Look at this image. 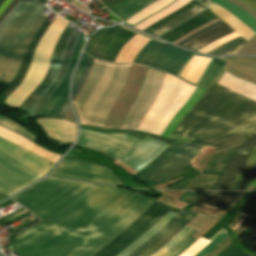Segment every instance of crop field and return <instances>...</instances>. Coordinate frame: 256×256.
Wrapping results in <instances>:
<instances>
[{
    "instance_id": "1",
    "label": "crop field",
    "mask_w": 256,
    "mask_h": 256,
    "mask_svg": "<svg viewBox=\"0 0 256 256\" xmlns=\"http://www.w3.org/2000/svg\"><path fill=\"white\" fill-rule=\"evenodd\" d=\"M12 199L43 221L10 240L18 256H93L154 202L118 188L50 178Z\"/></svg>"
},
{
    "instance_id": "37",
    "label": "crop field",
    "mask_w": 256,
    "mask_h": 256,
    "mask_svg": "<svg viewBox=\"0 0 256 256\" xmlns=\"http://www.w3.org/2000/svg\"><path fill=\"white\" fill-rule=\"evenodd\" d=\"M228 237L226 231L224 230L216 239H214L208 246H206L202 251L197 253L195 256H206L214 248H216L221 242H223Z\"/></svg>"
},
{
    "instance_id": "28",
    "label": "crop field",
    "mask_w": 256,
    "mask_h": 256,
    "mask_svg": "<svg viewBox=\"0 0 256 256\" xmlns=\"http://www.w3.org/2000/svg\"><path fill=\"white\" fill-rule=\"evenodd\" d=\"M226 64V61L221 58H215L211 65L209 66L208 70L202 77L201 81L198 84V87L207 88L211 81L215 78L218 74L220 69Z\"/></svg>"
},
{
    "instance_id": "5",
    "label": "crop field",
    "mask_w": 256,
    "mask_h": 256,
    "mask_svg": "<svg viewBox=\"0 0 256 256\" xmlns=\"http://www.w3.org/2000/svg\"><path fill=\"white\" fill-rule=\"evenodd\" d=\"M43 5L25 0L6 18L0 28V80L11 82L25 50L45 17Z\"/></svg>"
},
{
    "instance_id": "21",
    "label": "crop field",
    "mask_w": 256,
    "mask_h": 256,
    "mask_svg": "<svg viewBox=\"0 0 256 256\" xmlns=\"http://www.w3.org/2000/svg\"><path fill=\"white\" fill-rule=\"evenodd\" d=\"M125 32L126 30L119 26L107 30L98 39L90 55L105 60L109 49Z\"/></svg>"
},
{
    "instance_id": "17",
    "label": "crop field",
    "mask_w": 256,
    "mask_h": 256,
    "mask_svg": "<svg viewBox=\"0 0 256 256\" xmlns=\"http://www.w3.org/2000/svg\"><path fill=\"white\" fill-rule=\"evenodd\" d=\"M217 19L209 9L201 12L200 14L194 16L193 18L187 20L166 34L162 35L160 38L168 40L170 42H175L177 39L181 38L185 34Z\"/></svg>"
},
{
    "instance_id": "16",
    "label": "crop field",
    "mask_w": 256,
    "mask_h": 256,
    "mask_svg": "<svg viewBox=\"0 0 256 256\" xmlns=\"http://www.w3.org/2000/svg\"><path fill=\"white\" fill-rule=\"evenodd\" d=\"M79 35L80 34H78L76 31L73 30V32L68 40L65 52L61 59L60 66H59L58 72H57L54 80L51 82V84L48 86V88L43 92V94L38 98V100L32 106V108L30 109L28 114L36 115V113L38 112L39 108L44 103V101L49 97V95L56 89V87L61 82V80L66 72L67 66L69 64V61H70V58H71V55H72V52L74 49V46L76 44V41H77Z\"/></svg>"
},
{
    "instance_id": "30",
    "label": "crop field",
    "mask_w": 256,
    "mask_h": 256,
    "mask_svg": "<svg viewBox=\"0 0 256 256\" xmlns=\"http://www.w3.org/2000/svg\"><path fill=\"white\" fill-rule=\"evenodd\" d=\"M198 2L192 0L191 2H189L187 5H185L184 7L178 9L177 11L173 12L172 14L168 15L167 17L163 18L162 20L156 22L155 24L151 25L150 27H148L147 29H145L144 31H147L149 33L153 32L154 30L158 29L159 27H161L162 25L166 24L167 22H169L170 20L186 13L187 11H189L190 9L194 8L195 6H197Z\"/></svg>"
},
{
    "instance_id": "2",
    "label": "crop field",
    "mask_w": 256,
    "mask_h": 256,
    "mask_svg": "<svg viewBox=\"0 0 256 256\" xmlns=\"http://www.w3.org/2000/svg\"><path fill=\"white\" fill-rule=\"evenodd\" d=\"M224 72L222 68L214 81L218 82ZM214 81L175 129L194 138L193 141L192 138L175 131L170 138L188 143L192 141V144L226 148L244 136L237 134H247L251 137L256 133V102Z\"/></svg>"
},
{
    "instance_id": "31",
    "label": "crop field",
    "mask_w": 256,
    "mask_h": 256,
    "mask_svg": "<svg viewBox=\"0 0 256 256\" xmlns=\"http://www.w3.org/2000/svg\"><path fill=\"white\" fill-rule=\"evenodd\" d=\"M205 8H207V6L201 4L198 7L194 8L193 10L189 11L188 13L170 21L166 25H164L161 28H159L158 30L154 31L152 34L158 36V35L162 34L163 32H165L166 30L170 29L171 27L179 24L180 22H182V21L186 20L187 18L195 15L196 13L202 11Z\"/></svg>"
},
{
    "instance_id": "54",
    "label": "crop field",
    "mask_w": 256,
    "mask_h": 256,
    "mask_svg": "<svg viewBox=\"0 0 256 256\" xmlns=\"http://www.w3.org/2000/svg\"><path fill=\"white\" fill-rule=\"evenodd\" d=\"M3 0H0V4L2 3Z\"/></svg>"
},
{
    "instance_id": "12",
    "label": "crop field",
    "mask_w": 256,
    "mask_h": 256,
    "mask_svg": "<svg viewBox=\"0 0 256 256\" xmlns=\"http://www.w3.org/2000/svg\"><path fill=\"white\" fill-rule=\"evenodd\" d=\"M164 74L148 70L143 86L120 129L136 130L138 124L153 103L163 80Z\"/></svg>"
},
{
    "instance_id": "50",
    "label": "crop field",
    "mask_w": 256,
    "mask_h": 256,
    "mask_svg": "<svg viewBox=\"0 0 256 256\" xmlns=\"http://www.w3.org/2000/svg\"><path fill=\"white\" fill-rule=\"evenodd\" d=\"M239 39H241V37H239V38H237V39H235V40H232V41H230V42H228V43H225V44H223V45H221V46H219V47H217V48L211 50L210 52H208V54H211L212 52H214V51H216V50H218V49H220V48H222V47H224V46H226V45H228V44H230V43H232V42H234V41H236V40H239Z\"/></svg>"
},
{
    "instance_id": "23",
    "label": "crop field",
    "mask_w": 256,
    "mask_h": 256,
    "mask_svg": "<svg viewBox=\"0 0 256 256\" xmlns=\"http://www.w3.org/2000/svg\"><path fill=\"white\" fill-rule=\"evenodd\" d=\"M175 213L169 211L157 224H155L148 232L134 241L130 246H128L124 251H122L117 256H127L133 250L142 245L146 240H148L151 236H153L159 229H161L173 216Z\"/></svg>"
},
{
    "instance_id": "40",
    "label": "crop field",
    "mask_w": 256,
    "mask_h": 256,
    "mask_svg": "<svg viewBox=\"0 0 256 256\" xmlns=\"http://www.w3.org/2000/svg\"><path fill=\"white\" fill-rule=\"evenodd\" d=\"M205 192H186L179 201L194 205Z\"/></svg>"
},
{
    "instance_id": "19",
    "label": "crop field",
    "mask_w": 256,
    "mask_h": 256,
    "mask_svg": "<svg viewBox=\"0 0 256 256\" xmlns=\"http://www.w3.org/2000/svg\"><path fill=\"white\" fill-rule=\"evenodd\" d=\"M50 25V22L44 20V22L42 23L41 27L39 28V30L37 31V33L35 34V36L33 37L32 41L30 42L27 51L24 55V58L22 60V63L20 65V68L15 76V78L13 79L12 83L7 87V89L2 93L5 97L16 87L18 86L23 77L25 76L28 67H29V63L31 61L32 58V54L33 51L35 49V47L37 46L41 36L43 35V33L46 31V29L48 28V26Z\"/></svg>"
},
{
    "instance_id": "18",
    "label": "crop field",
    "mask_w": 256,
    "mask_h": 256,
    "mask_svg": "<svg viewBox=\"0 0 256 256\" xmlns=\"http://www.w3.org/2000/svg\"><path fill=\"white\" fill-rule=\"evenodd\" d=\"M245 192H206L195 204L205 207L206 205L216 206V209L230 210ZM207 206L210 208H215Z\"/></svg>"
},
{
    "instance_id": "34",
    "label": "crop field",
    "mask_w": 256,
    "mask_h": 256,
    "mask_svg": "<svg viewBox=\"0 0 256 256\" xmlns=\"http://www.w3.org/2000/svg\"><path fill=\"white\" fill-rule=\"evenodd\" d=\"M134 35L135 33L127 31L111 48L106 60L113 62L120 48Z\"/></svg>"
},
{
    "instance_id": "51",
    "label": "crop field",
    "mask_w": 256,
    "mask_h": 256,
    "mask_svg": "<svg viewBox=\"0 0 256 256\" xmlns=\"http://www.w3.org/2000/svg\"><path fill=\"white\" fill-rule=\"evenodd\" d=\"M68 106H69V103H67V105L65 106V108H64V110H63V112H62V114H61V116H60L61 118H63V116H64V114H65V112H66Z\"/></svg>"
},
{
    "instance_id": "25",
    "label": "crop field",
    "mask_w": 256,
    "mask_h": 256,
    "mask_svg": "<svg viewBox=\"0 0 256 256\" xmlns=\"http://www.w3.org/2000/svg\"><path fill=\"white\" fill-rule=\"evenodd\" d=\"M195 215L188 213L179 223H177L169 232H167L158 242L152 247L142 253L140 256H151L156 250L170 240L176 233H178Z\"/></svg>"
},
{
    "instance_id": "27",
    "label": "crop field",
    "mask_w": 256,
    "mask_h": 256,
    "mask_svg": "<svg viewBox=\"0 0 256 256\" xmlns=\"http://www.w3.org/2000/svg\"><path fill=\"white\" fill-rule=\"evenodd\" d=\"M149 1L150 0H123L108 9L118 15L121 19H124Z\"/></svg>"
},
{
    "instance_id": "53",
    "label": "crop field",
    "mask_w": 256,
    "mask_h": 256,
    "mask_svg": "<svg viewBox=\"0 0 256 256\" xmlns=\"http://www.w3.org/2000/svg\"><path fill=\"white\" fill-rule=\"evenodd\" d=\"M238 256H246V255H244V254L240 253Z\"/></svg>"
},
{
    "instance_id": "32",
    "label": "crop field",
    "mask_w": 256,
    "mask_h": 256,
    "mask_svg": "<svg viewBox=\"0 0 256 256\" xmlns=\"http://www.w3.org/2000/svg\"><path fill=\"white\" fill-rule=\"evenodd\" d=\"M255 202L256 192H247L230 211L246 213Z\"/></svg>"
},
{
    "instance_id": "55",
    "label": "crop field",
    "mask_w": 256,
    "mask_h": 256,
    "mask_svg": "<svg viewBox=\"0 0 256 256\" xmlns=\"http://www.w3.org/2000/svg\"><path fill=\"white\" fill-rule=\"evenodd\" d=\"M105 1V0H102V2Z\"/></svg>"
},
{
    "instance_id": "46",
    "label": "crop field",
    "mask_w": 256,
    "mask_h": 256,
    "mask_svg": "<svg viewBox=\"0 0 256 256\" xmlns=\"http://www.w3.org/2000/svg\"><path fill=\"white\" fill-rule=\"evenodd\" d=\"M256 12V0H237Z\"/></svg>"
},
{
    "instance_id": "52",
    "label": "crop field",
    "mask_w": 256,
    "mask_h": 256,
    "mask_svg": "<svg viewBox=\"0 0 256 256\" xmlns=\"http://www.w3.org/2000/svg\"><path fill=\"white\" fill-rule=\"evenodd\" d=\"M197 1L202 2V3L206 4V5H208L207 4V0H197Z\"/></svg>"
},
{
    "instance_id": "7",
    "label": "crop field",
    "mask_w": 256,
    "mask_h": 256,
    "mask_svg": "<svg viewBox=\"0 0 256 256\" xmlns=\"http://www.w3.org/2000/svg\"><path fill=\"white\" fill-rule=\"evenodd\" d=\"M202 148L173 141L153 162L136 174L137 178L151 183H160L181 169Z\"/></svg>"
},
{
    "instance_id": "36",
    "label": "crop field",
    "mask_w": 256,
    "mask_h": 256,
    "mask_svg": "<svg viewBox=\"0 0 256 256\" xmlns=\"http://www.w3.org/2000/svg\"><path fill=\"white\" fill-rule=\"evenodd\" d=\"M0 123L9 127V128H11V129H13V130H15V131H17V132H19V133H21V134H23V135H25L26 137L30 138L33 141L36 138V137L32 136L29 132H27L21 125L13 122V121H11V120H9V119L1 116V115H0Z\"/></svg>"
},
{
    "instance_id": "8",
    "label": "crop field",
    "mask_w": 256,
    "mask_h": 256,
    "mask_svg": "<svg viewBox=\"0 0 256 256\" xmlns=\"http://www.w3.org/2000/svg\"><path fill=\"white\" fill-rule=\"evenodd\" d=\"M172 207L155 201L124 232L94 256H116L160 220Z\"/></svg>"
},
{
    "instance_id": "38",
    "label": "crop field",
    "mask_w": 256,
    "mask_h": 256,
    "mask_svg": "<svg viewBox=\"0 0 256 256\" xmlns=\"http://www.w3.org/2000/svg\"><path fill=\"white\" fill-rule=\"evenodd\" d=\"M246 41L243 39L236 41L216 52L213 54H220V55H228V54H234Z\"/></svg>"
},
{
    "instance_id": "11",
    "label": "crop field",
    "mask_w": 256,
    "mask_h": 256,
    "mask_svg": "<svg viewBox=\"0 0 256 256\" xmlns=\"http://www.w3.org/2000/svg\"><path fill=\"white\" fill-rule=\"evenodd\" d=\"M49 176L116 185L123 184L103 166L72 159H64Z\"/></svg>"
},
{
    "instance_id": "26",
    "label": "crop field",
    "mask_w": 256,
    "mask_h": 256,
    "mask_svg": "<svg viewBox=\"0 0 256 256\" xmlns=\"http://www.w3.org/2000/svg\"><path fill=\"white\" fill-rule=\"evenodd\" d=\"M187 212L181 210L177 213L161 230H159L153 237L145 242L138 249L133 251L129 256H139L142 252L152 246L163 234H165L170 228H172Z\"/></svg>"
},
{
    "instance_id": "49",
    "label": "crop field",
    "mask_w": 256,
    "mask_h": 256,
    "mask_svg": "<svg viewBox=\"0 0 256 256\" xmlns=\"http://www.w3.org/2000/svg\"><path fill=\"white\" fill-rule=\"evenodd\" d=\"M37 222H39V219H37V220H35V221H33V222H31V223L25 225V226H23V227H21V228L15 230V231H13V232L16 234V233H18V232H20V231H22V230H24V229L30 227L31 225H33V224H35V223H37Z\"/></svg>"
},
{
    "instance_id": "33",
    "label": "crop field",
    "mask_w": 256,
    "mask_h": 256,
    "mask_svg": "<svg viewBox=\"0 0 256 256\" xmlns=\"http://www.w3.org/2000/svg\"><path fill=\"white\" fill-rule=\"evenodd\" d=\"M191 230L192 229L185 226L178 234H176L170 241H168L163 247H161L152 256H162L168 249H170L174 244H176L180 239H182Z\"/></svg>"
},
{
    "instance_id": "41",
    "label": "crop field",
    "mask_w": 256,
    "mask_h": 256,
    "mask_svg": "<svg viewBox=\"0 0 256 256\" xmlns=\"http://www.w3.org/2000/svg\"><path fill=\"white\" fill-rule=\"evenodd\" d=\"M255 173H256V163L238 190H244L249 185L250 181L253 179Z\"/></svg>"
},
{
    "instance_id": "10",
    "label": "crop field",
    "mask_w": 256,
    "mask_h": 256,
    "mask_svg": "<svg viewBox=\"0 0 256 256\" xmlns=\"http://www.w3.org/2000/svg\"><path fill=\"white\" fill-rule=\"evenodd\" d=\"M192 55L175 48L150 40L136 55L133 62L149 65L176 75L187 59Z\"/></svg>"
},
{
    "instance_id": "22",
    "label": "crop field",
    "mask_w": 256,
    "mask_h": 256,
    "mask_svg": "<svg viewBox=\"0 0 256 256\" xmlns=\"http://www.w3.org/2000/svg\"><path fill=\"white\" fill-rule=\"evenodd\" d=\"M211 11L222 19L228 26L239 33L246 41L252 37L255 33L251 31L246 25L222 9L217 4L210 1Z\"/></svg>"
},
{
    "instance_id": "44",
    "label": "crop field",
    "mask_w": 256,
    "mask_h": 256,
    "mask_svg": "<svg viewBox=\"0 0 256 256\" xmlns=\"http://www.w3.org/2000/svg\"><path fill=\"white\" fill-rule=\"evenodd\" d=\"M92 61H93V58L90 57L88 66H87V68H86L85 76H84V78H83L81 84L79 85V87L77 88V90L75 91V93L73 94L72 100L74 99L75 95L77 94V92L79 91V89L81 88V86L83 85V83H84V81H85V79H86V77H87V75H88V73H89V71H90V67H91Z\"/></svg>"
},
{
    "instance_id": "24",
    "label": "crop field",
    "mask_w": 256,
    "mask_h": 256,
    "mask_svg": "<svg viewBox=\"0 0 256 256\" xmlns=\"http://www.w3.org/2000/svg\"><path fill=\"white\" fill-rule=\"evenodd\" d=\"M217 4H219L221 7H223L225 10L230 12L232 15H234L236 18H238L240 21H242L244 24H246L250 29H252L256 33V19L242 10L241 8L225 1V0H211Z\"/></svg>"
},
{
    "instance_id": "9",
    "label": "crop field",
    "mask_w": 256,
    "mask_h": 256,
    "mask_svg": "<svg viewBox=\"0 0 256 256\" xmlns=\"http://www.w3.org/2000/svg\"><path fill=\"white\" fill-rule=\"evenodd\" d=\"M244 143V142H243ZM256 147V135L252 136L241 145L231 156L223 168L218 180L210 190H225L230 181L236 175L249 153ZM256 161V148L250 153L249 157L234 177L226 190H237L249 173L252 165Z\"/></svg>"
},
{
    "instance_id": "13",
    "label": "crop field",
    "mask_w": 256,
    "mask_h": 256,
    "mask_svg": "<svg viewBox=\"0 0 256 256\" xmlns=\"http://www.w3.org/2000/svg\"><path fill=\"white\" fill-rule=\"evenodd\" d=\"M82 43H83V32L75 46L69 67L67 69V72L62 82L54 91V93L51 95V97L43 104V106L40 108L37 115H48V116H55V117L60 116L68 100L69 81L73 73V70L75 68L77 57H78L80 48L82 46Z\"/></svg>"
},
{
    "instance_id": "43",
    "label": "crop field",
    "mask_w": 256,
    "mask_h": 256,
    "mask_svg": "<svg viewBox=\"0 0 256 256\" xmlns=\"http://www.w3.org/2000/svg\"><path fill=\"white\" fill-rule=\"evenodd\" d=\"M19 0H13L10 5L5 9V11L0 16V22L10 13V11L15 7ZM1 24V23H0Z\"/></svg>"
},
{
    "instance_id": "15",
    "label": "crop field",
    "mask_w": 256,
    "mask_h": 256,
    "mask_svg": "<svg viewBox=\"0 0 256 256\" xmlns=\"http://www.w3.org/2000/svg\"><path fill=\"white\" fill-rule=\"evenodd\" d=\"M72 31V28L66 26L64 29L62 35L60 36L53 54L51 58V62L47 71V74L44 78V80L37 86V88L34 90V92L23 102V104L19 107L25 112H28L30 107L33 105V103L36 101V99L41 95V93L47 88V86L52 81L59 65V59L62 54L63 48L68 40V37Z\"/></svg>"
},
{
    "instance_id": "29",
    "label": "crop field",
    "mask_w": 256,
    "mask_h": 256,
    "mask_svg": "<svg viewBox=\"0 0 256 256\" xmlns=\"http://www.w3.org/2000/svg\"><path fill=\"white\" fill-rule=\"evenodd\" d=\"M189 1L190 0H178L175 3H173L172 5H170L169 7H167L166 9H164L159 14L147 19L146 21L142 22L135 28L143 30L146 27L150 26L151 24L155 23L156 21L160 20L161 18H163V17L167 16L168 14L172 13L173 11L177 10L178 8L184 6Z\"/></svg>"
},
{
    "instance_id": "3",
    "label": "crop field",
    "mask_w": 256,
    "mask_h": 256,
    "mask_svg": "<svg viewBox=\"0 0 256 256\" xmlns=\"http://www.w3.org/2000/svg\"><path fill=\"white\" fill-rule=\"evenodd\" d=\"M129 65L94 60L86 82L72 102L80 124L103 126L125 84Z\"/></svg>"
},
{
    "instance_id": "47",
    "label": "crop field",
    "mask_w": 256,
    "mask_h": 256,
    "mask_svg": "<svg viewBox=\"0 0 256 256\" xmlns=\"http://www.w3.org/2000/svg\"><path fill=\"white\" fill-rule=\"evenodd\" d=\"M154 1H156V0H154ZM154 1H152V2H154ZM175 1V0H174ZM173 1V2H174ZM152 2H150L149 4H151ZM173 2H171V3H173ZM170 3V4H171ZM149 4H147L146 6H148ZM170 4H168L167 6H169ZM146 6H144L143 8H145ZM167 6H165V7H167ZM165 7H163L162 9H164ZM143 8H141L140 10H142ZM162 9H160V10H162ZM140 10H138V11H136L135 13H133L131 16H129L127 19H129L130 17H132L133 15H135L137 12H139ZM160 10H158L157 12H159ZM157 12H155V13H157ZM155 13H153L152 15H154ZM152 15H150L149 17H151ZM149 17H147V18H149ZM147 18H145V19H147ZM126 19V20H127ZM144 19V20H145ZM144 20H142V21H144ZM125 21V20H124ZM123 21V24H126L125 22ZM142 21H140V22H138V23H136V24H134V25H130V26H132V27H134V26H136L137 24H139V23H141ZM127 25H129V24H127Z\"/></svg>"
},
{
    "instance_id": "20",
    "label": "crop field",
    "mask_w": 256,
    "mask_h": 256,
    "mask_svg": "<svg viewBox=\"0 0 256 256\" xmlns=\"http://www.w3.org/2000/svg\"><path fill=\"white\" fill-rule=\"evenodd\" d=\"M232 32H234V31L231 30L229 27H227L223 23V24H221L215 28H212V29L200 34L199 36L191 39L186 44H184L183 47L197 51V50L203 48L204 46H206L207 44H209L221 37H224Z\"/></svg>"
},
{
    "instance_id": "45",
    "label": "crop field",
    "mask_w": 256,
    "mask_h": 256,
    "mask_svg": "<svg viewBox=\"0 0 256 256\" xmlns=\"http://www.w3.org/2000/svg\"><path fill=\"white\" fill-rule=\"evenodd\" d=\"M220 23H222V22L219 21V22H217V23H215V24H213V25H211V26H209V27H207V28H205V29H203V30H201V31H199V32H197V33L191 35V36L188 37L187 39H185V40H183L182 42H180L178 45H180V46L183 45L184 43H186V42H187L188 40H190L191 38H193V37L199 35L200 33L204 32V31H206V30H208V29H210V28H212V27H214V26H216V25H218V24H220Z\"/></svg>"
},
{
    "instance_id": "42",
    "label": "crop field",
    "mask_w": 256,
    "mask_h": 256,
    "mask_svg": "<svg viewBox=\"0 0 256 256\" xmlns=\"http://www.w3.org/2000/svg\"><path fill=\"white\" fill-rule=\"evenodd\" d=\"M105 30H101L100 32H98L97 34H95L94 36H92V38L89 40L87 46H86V49H85V52L86 53H90L91 49H92V46L93 44L95 43V41L98 39V37L104 32Z\"/></svg>"
},
{
    "instance_id": "35",
    "label": "crop field",
    "mask_w": 256,
    "mask_h": 256,
    "mask_svg": "<svg viewBox=\"0 0 256 256\" xmlns=\"http://www.w3.org/2000/svg\"><path fill=\"white\" fill-rule=\"evenodd\" d=\"M88 58H89V56H87L85 53L82 54L81 60L79 62L77 71H76L74 79H73L72 94H73L75 88L80 83V81L84 75V71L87 66Z\"/></svg>"
},
{
    "instance_id": "6",
    "label": "crop field",
    "mask_w": 256,
    "mask_h": 256,
    "mask_svg": "<svg viewBox=\"0 0 256 256\" xmlns=\"http://www.w3.org/2000/svg\"><path fill=\"white\" fill-rule=\"evenodd\" d=\"M67 23L59 16L51 23L33 54L30 68L22 83L6 98L5 102L8 105L19 107L43 80L54 45Z\"/></svg>"
},
{
    "instance_id": "14",
    "label": "crop field",
    "mask_w": 256,
    "mask_h": 256,
    "mask_svg": "<svg viewBox=\"0 0 256 256\" xmlns=\"http://www.w3.org/2000/svg\"><path fill=\"white\" fill-rule=\"evenodd\" d=\"M247 135L238 140L237 142L230 145L226 150L219 149L215 151L211 160L209 161L204 173L200 177V179L196 182L194 186L190 189L193 190H208L217 180L220 171L224 167L225 163L232 155V153L247 139H249Z\"/></svg>"
},
{
    "instance_id": "39",
    "label": "crop field",
    "mask_w": 256,
    "mask_h": 256,
    "mask_svg": "<svg viewBox=\"0 0 256 256\" xmlns=\"http://www.w3.org/2000/svg\"><path fill=\"white\" fill-rule=\"evenodd\" d=\"M195 231L192 230L188 235H186L182 240H180L176 245H174L169 251H167L163 256H173L181 248H183L191 239L190 237Z\"/></svg>"
},
{
    "instance_id": "4",
    "label": "crop field",
    "mask_w": 256,
    "mask_h": 256,
    "mask_svg": "<svg viewBox=\"0 0 256 256\" xmlns=\"http://www.w3.org/2000/svg\"><path fill=\"white\" fill-rule=\"evenodd\" d=\"M0 135L12 140L32 151H35L53 161H57L60 157L59 155H56L54 153H51L47 150H44L38 146H36L34 143L26 140L25 138L0 127ZM0 136V144L10 148L22 155H25L35 161H38L50 168L53 167L55 162L35 153L32 152L12 141H9L3 137ZM0 145V154L44 175L46 174L50 168L35 162L25 156H22L10 149H7ZM0 155V193L2 192L7 197L12 195L13 193L19 191L20 189L28 186L33 181L39 179L42 177V175Z\"/></svg>"
},
{
    "instance_id": "48",
    "label": "crop field",
    "mask_w": 256,
    "mask_h": 256,
    "mask_svg": "<svg viewBox=\"0 0 256 256\" xmlns=\"http://www.w3.org/2000/svg\"><path fill=\"white\" fill-rule=\"evenodd\" d=\"M193 55H196V54H193ZM193 55H192V56H193ZM196 56L206 57V56H201V55H196ZM206 58H211L209 64H210V63L212 62V60L214 59V58H212V57H206ZM190 59H191V58H190ZM190 59H189V60H190ZM189 60H188V61H189ZM188 61L186 62V64L188 63ZM186 64H185V65H186ZM209 64L207 65V67L209 66ZM185 65L183 66V68L185 67ZM207 67L205 68L204 72L206 71ZM183 68L181 69V71L183 70ZM181 71H180V72H181ZM204 72H203L202 75L200 76L198 82L200 81V79H201V77L203 76ZM179 74H180V73H179ZM179 74H178V75H179ZM177 77H179V76H177ZM179 78H181V77H179ZM181 79H183V78H181ZM183 80H185V79H183ZM185 81H186V80H185ZM187 82H188V81H187ZM198 82H197V84H198ZM189 83H190V82H189ZM191 84H192V83H191ZM197 84H196L195 86H197ZM193 85H194V84H193Z\"/></svg>"
}]
</instances>
